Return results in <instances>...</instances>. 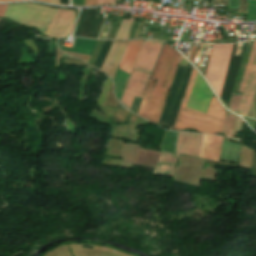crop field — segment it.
Listing matches in <instances>:
<instances>
[{
  "instance_id": "18",
  "label": "crop field",
  "mask_w": 256,
  "mask_h": 256,
  "mask_svg": "<svg viewBox=\"0 0 256 256\" xmlns=\"http://www.w3.org/2000/svg\"><path fill=\"white\" fill-rule=\"evenodd\" d=\"M133 20L134 18L130 21L122 20L114 39H128Z\"/></svg>"
},
{
  "instance_id": "27",
  "label": "crop field",
  "mask_w": 256,
  "mask_h": 256,
  "mask_svg": "<svg viewBox=\"0 0 256 256\" xmlns=\"http://www.w3.org/2000/svg\"><path fill=\"white\" fill-rule=\"evenodd\" d=\"M197 47H193L189 59L193 62Z\"/></svg>"
},
{
  "instance_id": "20",
  "label": "crop field",
  "mask_w": 256,
  "mask_h": 256,
  "mask_svg": "<svg viewBox=\"0 0 256 256\" xmlns=\"http://www.w3.org/2000/svg\"><path fill=\"white\" fill-rule=\"evenodd\" d=\"M234 119H235L234 115L228 112L226 113L224 129H223V133L225 134V136H229V137L232 136Z\"/></svg>"
},
{
  "instance_id": "11",
  "label": "crop field",
  "mask_w": 256,
  "mask_h": 256,
  "mask_svg": "<svg viewBox=\"0 0 256 256\" xmlns=\"http://www.w3.org/2000/svg\"><path fill=\"white\" fill-rule=\"evenodd\" d=\"M128 41H114L101 71L113 78Z\"/></svg>"
},
{
  "instance_id": "2",
  "label": "crop field",
  "mask_w": 256,
  "mask_h": 256,
  "mask_svg": "<svg viewBox=\"0 0 256 256\" xmlns=\"http://www.w3.org/2000/svg\"><path fill=\"white\" fill-rule=\"evenodd\" d=\"M202 136L179 132L176 154L162 152L153 173L172 177L179 154L199 157ZM222 139L204 134L200 157L218 161Z\"/></svg>"
},
{
  "instance_id": "7",
  "label": "crop field",
  "mask_w": 256,
  "mask_h": 256,
  "mask_svg": "<svg viewBox=\"0 0 256 256\" xmlns=\"http://www.w3.org/2000/svg\"><path fill=\"white\" fill-rule=\"evenodd\" d=\"M150 76L151 75L149 74L133 70L131 76L129 77V81L125 88L123 96L120 100L125 108H127L128 110L130 109L134 96L141 98L143 97V93Z\"/></svg>"
},
{
  "instance_id": "35",
  "label": "crop field",
  "mask_w": 256,
  "mask_h": 256,
  "mask_svg": "<svg viewBox=\"0 0 256 256\" xmlns=\"http://www.w3.org/2000/svg\"><path fill=\"white\" fill-rule=\"evenodd\" d=\"M104 0H98V4H103Z\"/></svg>"
},
{
  "instance_id": "36",
  "label": "crop field",
  "mask_w": 256,
  "mask_h": 256,
  "mask_svg": "<svg viewBox=\"0 0 256 256\" xmlns=\"http://www.w3.org/2000/svg\"><path fill=\"white\" fill-rule=\"evenodd\" d=\"M0 1H9V0H0ZM41 1H47V2H50V0H41Z\"/></svg>"
},
{
  "instance_id": "8",
  "label": "crop field",
  "mask_w": 256,
  "mask_h": 256,
  "mask_svg": "<svg viewBox=\"0 0 256 256\" xmlns=\"http://www.w3.org/2000/svg\"><path fill=\"white\" fill-rule=\"evenodd\" d=\"M97 10H82L75 36L98 38L104 18L96 17Z\"/></svg>"
},
{
  "instance_id": "34",
  "label": "crop field",
  "mask_w": 256,
  "mask_h": 256,
  "mask_svg": "<svg viewBox=\"0 0 256 256\" xmlns=\"http://www.w3.org/2000/svg\"><path fill=\"white\" fill-rule=\"evenodd\" d=\"M116 0H111V5L115 6Z\"/></svg>"
},
{
  "instance_id": "5",
  "label": "crop field",
  "mask_w": 256,
  "mask_h": 256,
  "mask_svg": "<svg viewBox=\"0 0 256 256\" xmlns=\"http://www.w3.org/2000/svg\"><path fill=\"white\" fill-rule=\"evenodd\" d=\"M232 46L233 44L214 45L210 54L205 78L214 88L218 96H220Z\"/></svg>"
},
{
  "instance_id": "15",
  "label": "crop field",
  "mask_w": 256,
  "mask_h": 256,
  "mask_svg": "<svg viewBox=\"0 0 256 256\" xmlns=\"http://www.w3.org/2000/svg\"><path fill=\"white\" fill-rule=\"evenodd\" d=\"M139 146L124 144L119 167L131 168Z\"/></svg>"
},
{
  "instance_id": "30",
  "label": "crop field",
  "mask_w": 256,
  "mask_h": 256,
  "mask_svg": "<svg viewBox=\"0 0 256 256\" xmlns=\"http://www.w3.org/2000/svg\"><path fill=\"white\" fill-rule=\"evenodd\" d=\"M73 5H84V0H72Z\"/></svg>"
},
{
  "instance_id": "37",
  "label": "crop field",
  "mask_w": 256,
  "mask_h": 256,
  "mask_svg": "<svg viewBox=\"0 0 256 256\" xmlns=\"http://www.w3.org/2000/svg\"><path fill=\"white\" fill-rule=\"evenodd\" d=\"M51 2L59 3V0H51Z\"/></svg>"
},
{
  "instance_id": "25",
  "label": "crop field",
  "mask_w": 256,
  "mask_h": 256,
  "mask_svg": "<svg viewBox=\"0 0 256 256\" xmlns=\"http://www.w3.org/2000/svg\"><path fill=\"white\" fill-rule=\"evenodd\" d=\"M68 54L74 55L79 57L82 61L87 62L89 56L88 55H82V54H76V53H70V52H66Z\"/></svg>"
},
{
  "instance_id": "26",
  "label": "crop field",
  "mask_w": 256,
  "mask_h": 256,
  "mask_svg": "<svg viewBox=\"0 0 256 256\" xmlns=\"http://www.w3.org/2000/svg\"><path fill=\"white\" fill-rule=\"evenodd\" d=\"M61 55H62V52H61L58 48H56V62H55V68L58 67V63H59V60H60V58H61Z\"/></svg>"
},
{
  "instance_id": "13",
  "label": "crop field",
  "mask_w": 256,
  "mask_h": 256,
  "mask_svg": "<svg viewBox=\"0 0 256 256\" xmlns=\"http://www.w3.org/2000/svg\"><path fill=\"white\" fill-rule=\"evenodd\" d=\"M142 41L143 40H132L128 42L125 55L119 65L120 69L130 74L131 68L135 62Z\"/></svg>"
},
{
  "instance_id": "1",
  "label": "crop field",
  "mask_w": 256,
  "mask_h": 256,
  "mask_svg": "<svg viewBox=\"0 0 256 256\" xmlns=\"http://www.w3.org/2000/svg\"><path fill=\"white\" fill-rule=\"evenodd\" d=\"M174 52L175 50L172 47H170L167 44H164V47L162 49V52L160 54V57L158 59V62L152 77V80L145 92V95L143 97L142 104L138 113L139 115L143 116L147 101L149 99V96L154 84V80L157 77L156 83L153 87L152 94L146 108V112L143 116L144 118L156 124L158 123L160 113L166 101V97L168 94V90H169L174 72L176 70L177 64L180 59V55L177 52H175V55H174ZM173 55H174V58H173ZM172 58H173V62H172L169 74L167 76L165 86L164 88H162L167 72L169 70Z\"/></svg>"
},
{
  "instance_id": "12",
  "label": "crop field",
  "mask_w": 256,
  "mask_h": 256,
  "mask_svg": "<svg viewBox=\"0 0 256 256\" xmlns=\"http://www.w3.org/2000/svg\"><path fill=\"white\" fill-rule=\"evenodd\" d=\"M255 89H256V57L243 92V97L237 112L238 114H241L244 116L247 115Z\"/></svg>"
},
{
  "instance_id": "3",
  "label": "crop field",
  "mask_w": 256,
  "mask_h": 256,
  "mask_svg": "<svg viewBox=\"0 0 256 256\" xmlns=\"http://www.w3.org/2000/svg\"><path fill=\"white\" fill-rule=\"evenodd\" d=\"M196 74L197 72L193 68L187 91L181 104L178 118L173 128H192L197 131L206 130L210 131L212 134L214 132H221L225 110L214 97L212 98L207 114L186 108L187 101L196 78Z\"/></svg>"
},
{
  "instance_id": "21",
  "label": "crop field",
  "mask_w": 256,
  "mask_h": 256,
  "mask_svg": "<svg viewBox=\"0 0 256 256\" xmlns=\"http://www.w3.org/2000/svg\"><path fill=\"white\" fill-rule=\"evenodd\" d=\"M255 54H256V41L254 42L253 50H252V53H251L249 62H248V64H247V67H246V70H245V73H244V76H243V80H242V84H241V87H240V91H239V92H242V91H243V88H244V85H245V83H246V80H247V77H248V74H249L251 65H252L253 60H254V57H255Z\"/></svg>"
},
{
  "instance_id": "32",
  "label": "crop field",
  "mask_w": 256,
  "mask_h": 256,
  "mask_svg": "<svg viewBox=\"0 0 256 256\" xmlns=\"http://www.w3.org/2000/svg\"><path fill=\"white\" fill-rule=\"evenodd\" d=\"M228 1L229 0H217L216 3H218V4H225V6H227L228 5Z\"/></svg>"
},
{
  "instance_id": "9",
  "label": "crop field",
  "mask_w": 256,
  "mask_h": 256,
  "mask_svg": "<svg viewBox=\"0 0 256 256\" xmlns=\"http://www.w3.org/2000/svg\"><path fill=\"white\" fill-rule=\"evenodd\" d=\"M162 45L163 42L145 40L133 69L151 73Z\"/></svg>"
},
{
  "instance_id": "4",
  "label": "crop field",
  "mask_w": 256,
  "mask_h": 256,
  "mask_svg": "<svg viewBox=\"0 0 256 256\" xmlns=\"http://www.w3.org/2000/svg\"><path fill=\"white\" fill-rule=\"evenodd\" d=\"M204 162V159L180 155L179 166L177 165L173 175L174 181L199 186V179L215 180L217 173L215 168L206 167L202 174Z\"/></svg>"
},
{
  "instance_id": "23",
  "label": "crop field",
  "mask_w": 256,
  "mask_h": 256,
  "mask_svg": "<svg viewBox=\"0 0 256 256\" xmlns=\"http://www.w3.org/2000/svg\"><path fill=\"white\" fill-rule=\"evenodd\" d=\"M247 116L256 118V91Z\"/></svg>"
},
{
  "instance_id": "6",
  "label": "crop field",
  "mask_w": 256,
  "mask_h": 256,
  "mask_svg": "<svg viewBox=\"0 0 256 256\" xmlns=\"http://www.w3.org/2000/svg\"><path fill=\"white\" fill-rule=\"evenodd\" d=\"M74 20L75 13L73 10L58 9L54 19L44 32V35L50 37L69 35L73 28Z\"/></svg>"
},
{
  "instance_id": "10",
  "label": "crop field",
  "mask_w": 256,
  "mask_h": 256,
  "mask_svg": "<svg viewBox=\"0 0 256 256\" xmlns=\"http://www.w3.org/2000/svg\"><path fill=\"white\" fill-rule=\"evenodd\" d=\"M211 95V91L200 75L197 74L195 85L187 107L206 113Z\"/></svg>"
},
{
  "instance_id": "17",
  "label": "crop field",
  "mask_w": 256,
  "mask_h": 256,
  "mask_svg": "<svg viewBox=\"0 0 256 256\" xmlns=\"http://www.w3.org/2000/svg\"><path fill=\"white\" fill-rule=\"evenodd\" d=\"M110 83H111V79L108 77L107 81L104 84L103 92H102V94H101V96L98 100V103L102 107V109L106 112V114L109 115L112 118L116 109L104 107L105 100H106L108 90H109V87H110Z\"/></svg>"
},
{
  "instance_id": "24",
  "label": "crop field",
  "mask_w": 256,
  "mask_h": 256,
  "mask_svg": "<svg viewBox=\"0 0 256 256\" xmlns=\"http://www.w3.org/2000/svg\"><path fill=\"white\" fill-rule=\"evenodd\" d=\"M248 0H240L238 12L246 13Z\"/></svg>"
},
{
  "instance_id": "19",
  "label": "crop field",
  "mask_w": 256,
  "mask_h": 256,
  "mask_svg": "<svg viewBox=\"0 0 256 256\" xmlns=\"http://www.w3.org/2000/svg\"><path fill=\"white\" fill-rule=\"evenodd\" d=\"M246 148L243 146L241 150L239 167L251 168V158H252L253 150L250 151L251 149L248 150L249 148L248 149Z\"/></svg>"
},
{
  "instance_id": "22",
  "label": "crop field",
  "mask_w": 256,
  "mask_h": 256,
  "mask_svg": "<svg viewBox=\"0 0 256 256\" xmlns=\"http://www.w3.org/2000/svg\"><path fill=\"white\" fill-rule=\"evenodd\" d=\"M240 96L241 94H237V93L232 94L231 101L228 107L230 110L237 112Z\"/></svg>"
},
{
  "instance_id": "14",
  "label": "crop field",
  "mask_w": 256,
  "mask_h": 256,
  "mask_svg": "<svg viewBox=\"0 0 256 256\" xmlns=\"http://www.w3.org/2000/svg\"><path fill=\"white\" fill-rule=\"evenodd\" d=\"M96 41L76 38L74 49L62 47V50L90 55Z\"/></svg>"
},
{
  "instance_id": "28",
  "label": "crop field",
  "mask_w": 256,
  "mask_h": 256,
  "mask_svg": "<svg viewBox=\"0 0 256 256\" xmlns=\"http://www.w3.org/2000/svg\"><path fill=\"white\" fill-rule=\"evenodd\" d=\"M85 5H97V0H85Z\"/></svg>"
},
{
  "instance_id": "31",
  "label": "crop field",
  "mask_w": 256,
  "mask_h": 256,
  "mask_svg": "<svg viewBox=\"0 0 256 256\" xmlns=\"http://www.w3.org/2000/svg\"><path fill=\"white\" fill-rule=\"evenodd\" d=\"M239 121H240V118H236V122H235V127H234V134L236 135L237 133V130H238V125H239Z\"/></svg>"
},
{
  "instance_id": "29",
  "label": "crop field",
  "mask_w": 256,
  "mask_h": 256,
  "mask_svg": "<svg viewBox=\"0 0 256 256\" xmlns=\"http://www.w3.org/2000/svg\"><path fill=\"white\" fill-rule=\"evenodd\" d=\"M8 5H0V16L2 17Z\"/></svg>"
},
{
  "instance_id": "33",
  "label": "crop field",
  "mask_w": 256,
  "mask_h": 256,
  "mask_svg": "<svg viewBox=\"0 0 256 256\" xmlns=\"http://www.w3.org/2000/svg\"><path fill=\"white\" fill-rule=\"evenodd\" d=\"M238 0H231L229 6L237 7Z\"/></svg>"
},
{
  "instance_id": "38",
  "label": "crop field",
  "mask_w": 256,
  "mask_h": 256,
  "mask_svg": "<svg viewBox=\"0 0 256 256\" xmlns=\"http://www.w3.org/2000/svg\"><path fill=\"white\" fill-rule=\"evenodd\" d=\"M105 3H109V0H105Z\"/></svg>"
},
{
  "instance_id": "16",
  "label": "crop field",
  "mask_w": 256,
  "mask_h": 256,
  "mask_svg": "<svg viewBox=\"0 0 256 256\" xmlns=\"http://www.w3.org/2000/svg\"><path fill=\"white\" fill-rule=\"evenodd\" d=\"M178 132L166 131L161 151L175 152Z\"/></svg>"
}]
</instances>
